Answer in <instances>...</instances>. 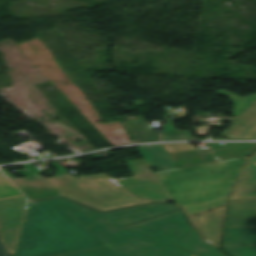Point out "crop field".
<instances>
[{"label": "crop field", "mask_w": 256, "mask_h": 256, "mask_svg": "<svg viewBox=\"0 0 256 256\" xmlns=\"http://www.w3.org/2000/svg\"><path fill=\"white\" fill-rule=\"evenodd\" d=\"M168 201H172L171 199H169V200H164V201H159V202H168Z\"/></svg>", "instance_id": "obj_23"}, {"label": "crop field", "mask_w": 256, "mask_h": 256, "mask_svg": "<svg viewBox=\"0 0 256 256\" xmlns=\"http://www.w3.org/2000/svg\"><path fill=\"white\" fill-rule=\"evenodd\" d=\"M0 256H11L9 251L6 249V247L3 245V243L0 241Z\"/></svg>", "instance_id": "obj_22"}, {"label": "crop field", "mask_w": 256, "mask_h": 256, "mask_svg": "<svg viewBox=\"0 0 256 256\" xmlns=\"http://www.w3.org/2000/svg\"><path fill=\"white\" fill-rule=\"evenodd\" d=\"M256 198V153H254L237 184L231 199Z\"/></svg>", "instance_id": "obj_10"}, {"label": "crop field", "mask_w": 256, "mask_h": 256, "mask_svg": "<svg viewBox=\"0 0 256 256\" xmlns=\"http://www.w3.org/2000/svg\"><path fill=\"white\" fill-rule=\"evenodd\" d=\"M28 203L24 196L0 200V235L11 254H13Z\"/></svg>", "instance_id": "obj_5"}, {"label": "crop field", "mask_w": 256, "mask_h": 256, "mask_svg": "<svg viewBox=\"0 0 256 256\" xmlns=\"http://www.w3.org/2000/svg\"><path fill=\"white\" fill-rule=\"evenodd\" d=\"M126 163L134 177L117 179L115 181L133 196L138 199L151 201L170 198L145 159L130 160L126 161Z\"/></svg>", "instance_id": "obj_4"}, {"label": "crop field", "mask_w": 256, "mask_h": 256, "mask_svg": "<svg viewBox=\"0 0 256 256\" xmlns=\"http://www.w3.org/2000/svg\"><path fill=\"white\" fill-rule=\"evenodd\" d=\"M162 146L171 153L178 168L216 161L212 153L201 152L190 144H168Z\"/></svg>", "instance_id": "obj_8"}, {"label": "crop field", "mask_w": 256, "mask_h": 256, "mask_svg": "<svg viewBox=\"0 0 256 256\" xmlns=\"http://www.w3.org/2000/svg\"><path fill=\"white\" fill-rule=\"evenodd\" d=\"M226 227H256V199L230 200Z\"/></svg>", "instance_id": "obj_7"}, {"label": "crop field", "mask_w": 256, "mask_h": 256, "mask_svg": "<svg viewBox=\"0 0 256 256\" xmlns=\"http://www.w3.org/2000/svg\"><path fill=\"white\" fill-rule=\"evenodd\" d=\"M225 208L190 217L203 239L215 246L220 243Z\"/></svg>", "instance_id": "obj_6"}, {"label": "crop field", "mask_w": 256, "mask_h": 256, "mask_svg": "<svg viewBox=\"0 0 256 256\" xmlns=\"http://www.w3.org/2000/svg\"><path fill=\"white\" fill-rule=\"evenodd\" d=\"M193 228L179 205L154 202L100 211L60 196L30 201L13 256L103 247L116 256H190L174 244Z\"/></svg>", "instance_id": "obj_1"}, {"label": "crop field", "mask_w": 256, "mask_h": 256, "mask_svg": "<svg viewBox=\"0 0 256 256\" xmlns=\"http://www.w3.org/2000/svg\"><path fill=\"white\" fill-rule=\"evenodd\" d=\"M168 124L165 125L164 134H162L163 140H183V139H197L192 138L189 132L175 131L172 123L166 120Z\"/></svg>", "instance_id": "obj_18"}, {"label": "crop field", "mask_w": 256, "mask_h": 256, "mask_svg": "<svg viewBox=\"0 0 256 256\" xmlns=\"http://www.w3.org/2000/svg\"><path fill=\"white\" fill-rule=\"evenodd\" d=\"M219 93L228 95L234 103V116L239 117L255 100L256 94L243 97L226 90H218Z\"/></svg>", "instance_id": "obj_15"}, {"label": "crop field", "mask_w": 256, "mask_h": 256, "mask_svg": "<svg viewBox=\"0 0 256 256\" xmlns=\"http://www.w3.org/2000/svg\"><path fill=\"white\" fill-rule=\"evenodd\" d=\"M230 256H256V246L223 247Z\"/></svg>", "instance_id": "obj_19"}, {"label": "crop field", "mask_w": 256, "mask_h": 256, "mask_svg": "<svg viewBox=\"0 0 256 256\" xmlns=\"http://www.w3.org/2000/svg\"><path fill=\"white\" fill-rule=\"evenodd\" d=\"M213 150L218 161L246 156L252 153L256 149L254 144H213L208 143ZM225 147L226 149H221ZM251 155V154H250Z\"/></svg>", "instance_id": "obj_14"}, {"label": "crop field", "mask_w": 256, "mask_h": 256, "mask_svg": "<svg viewBox=\"0 0 256 256\" xmlns=\"http://www.w3.org/2000/svg\"><path fill=\"white\" fill-rule=\"evenodd\" d=\"M175 245L195 256H226L216 247L203 241L196 229H193Z\"/></svg>", "instance_id": "obj_11"}, {"label": "crop field", "mask_w": 256, "mask_h": 256, "mask_svg": "<svg viewBox=\"0 0 256 256\" xmlns=\"http://www.w3.org/2000/svg\"><path fill=\"white\" fill-rule=\"evenodd\" d=\"M1 240V239H0Z\"/></svg>", "instance_id": "obj_24"}, {"label": "crop field", "mask_w": 256, "mask_h": 256, "mask_svg": "<svg viewBox=\"0 0 256 256\" xmlns=\"http://www.w3.org/2000/svg\"><path fill=\"white\" fill-rule=\"evenodd\" d=\"M23 195L0 171V199Z\"/></svg>", "instance_id": "obj_16"}, {"label": "crop field", "mask_w": 256, "mask_h": 256, "mask_svg": "<svg viewBox=\"0 0 256 256\" xmlns=\"http://www.w3.org/2000/svg\"><path fill=\"white\" fill-rule=\"evenodd\" d=\"M143 117H134L132 118H127L126 121L127 123H124L125 127L129 131L130 135L132 138L135 140V142H139V139L136 135V132L134 130V127L138 124V122L142 119Z\"/></svg>", "instance_id": "obj_21"}, {"label": "crop field", "mask_w": 256, "mask_h": 256, "mask_svg": "<svg viewBox=\"0 0 256 256\" xmlns=\"http://www.w3.org/2000/svg\"><path fill=\"white\" fill-rule=\"evenodd\" d=\"M248 156L156 172L174 203L193 215L225 205Z\"/></svg>", "instance_id": "obj_3"}, {"label": "crop field", "mask_w": 256, "mask_h": 256, "mask_svg": "<svg viewBox=\"0 0 256 256\" xmlns=\"http://www.w3.org/2000/svg\"><path fill=\"white\" fill-rule=\"evenodd\" d=\"M140 142L143 141H160L159 135L155 133L144 119L135 127Z\"/></svg>", "instance_id": "obj_17"}, {"label": "crop field", "mask_w": 256, "mask_h": 256, "mask_svg": "<svg viewBox=\"0 0 256 256\" xmlns=\"http://www.w3.org/2000/svg\"><path fill=\"white\" fill-rule=\"evenodd\" d=\"M62 256H115L107 248L85 251L80 253L62 255Z\"/></svg>", "instance_id": "obj_20"}, {"label": "crop field", "mask_w": 256, "mask_h": 256, "mask_svg": "<svg viewBox=\"0 0 256 256\" xmlns=\"http://www.w3.org/2000/svg\"><path fill=\"white\" fill-rule=\"evenodd\" d=\"M256 245V228H225L223 246Z\"/></svg>", "instance_id": "obj_13"}, {"label": "crop field", "mask_w": 256, "mask_h": 256, "mask_svg": "<svg viewBox=\"0 0 256 256\" xmlns=\"http://www.w3.org/2000/svg\"><path fill=\"white\" fill-rule=\"evenodd\" d=\"M59 171L48 179L39 177L40 171L32 164L23 165L18 173L24 178L15 179L4 168L1 170L31 199H43L64 195L100 210L148 203L137 200L117 182L105 174L75 177L56 163H50Z\"/></svg>", "instance_id": "obj_2"}, {"label": "crop field", "mask_w": 256, "mask_h": 256, "mask_svg": "<svg viewBox=\"0 0 256 256\" xmlns=\"http://www.w3.org/2000/svg\"><path fill=\"white\" fill-rule=\"evenodd\" d=\"M138 149L150 167L160 171L176 168L170 154L161 145L140 146Z\"/></svg>", "instance_id": "obj_12"}, {"label": "crop field", "mask_w": 256, "mask_h": 256, "mask_svg": "<svg viewBox=\"0 0 256 256\" xmlns=\"http://www.w3.org/2000/svg\"><path fill=\"white\" fill-rule=\"evenodd\" d=\"M222 135L230 139H256V101Z\"/></svg>", "instance_id": "obj_9"}]
</instances>
